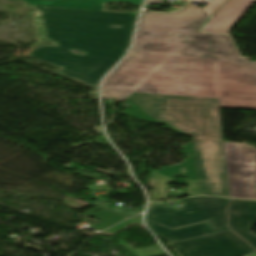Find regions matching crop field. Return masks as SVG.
I'll return each mask as SVG.
<instances>
[{"mask_svg":"<svg viewBox=\"0 0 256 256\" xmlns=\"http://www.w3.org/2000/svg\"><path fill=\"white\" fill-rule=\"evenodd\" d=\"M132 223H140V224H142L140 219L133 218V219H131L129 221H125V222H123V223H121V224H119V225H117V226H115V227H113V228L103 232V234L113 235V234H115V233L125 229L126 227H128Z\"/></svg>","mask_w":256,"mask_h":256,"instance_id":"22f410ed","label":"crop field"},{"mask_svg":"<svg viewBox=\"0 0 256 256\" xmlns=\"http://www.w3.org/2000/svg\"><path fill=\"white\" fill-rule=\"evenodd\" d=\"M117 242L121 244L125 249L130 251L132 254H134L135 256H155V255L164 253L159 246L148 247L140 250H134L130 245H128L123 240H117Z\"/></svg>","mask_w":256,"mask_h":256,"instance_id":"d1516ede","label":"crop field"},{"mask_svg":"<svg viewBox=\"0 0 256 256\" xmlns=\"http://www.w3.org/2000/svg\"><path fill=\"white\" fill-rule=\"evenodd\" d=\"M171 245L182 256H244L255 251L231 231Z\"/></svg>","mask_w":256,"mask_h":256,"instance_id":"e52e79f7","label":"crop field"},{"mask_svg":"<svg viewBox=\"0 0 256 256\" xmlns=\"http://www.w3.org/2000/svg\"><path fill=\"white\" fill-rule=\"evenodd\" d=\"M137 105L123 114L165 124L205 141H223L218 99L132 93Z\"/></svg>","mask_w":256,"mask_h":256,"instance_id":"34b2d1b8","label":"crop field"},{"mask_svg":"<svg viewBox=\"0 0 256 256\" xmlns=\"http://www.w3.org/2000/svg\"><path fill=\"white\" fill-rule=\"evenodd\" d=\"M147 223L153 229V231L158 235V237L164 239L168 243L214 233L210 222L191 226V227L181 228L177 230H171L169 228L158 225L151 221H147Z\"/></svg>","mask_w":256,"mask_h":256,"instance_id":"3316defc","label":"crop field"},{"mask_svg":"<svg viewBox=\"0 0 256 256\" xmlns=\"http://www.w3.org/2000/svg\"><path fill=\"white\" fill-rule=\"evenodd\" d=\"M255 1L256 0H228L216 13L213 21L210 22L203 31L230 34L229 31Z\"/></svg>","mask_w":256,"mask_h":256,"instance_id":"5a996713","label":"crop field"},{"mask_svg":"<svg viewBox=\"0 0 256 256\" xmlns=\"http://www.w3.org/2000/svg\"><path fill=\"white\" fill-rule=\"evenodd\" d=\"M231 197L256 199V148L225 142Z\"/></svg>","mask_w":256,"mask_h":256,"instance_id":"dd49c442","label":"crop field"},{"mask_svg":"<svg viewBox=\"0 0 256 256\" xmlns=\"http://www.w3.org/2000/svg\"><path fill=\"white\" fill-rule=\"evenodd\" d=\"M181 201L183 206L179 210L171 207H164V202L150 204L147 219L171 228H178L211 220L216 232L229 230L226 226L225 215L229 199L218 197H195ZM187 211H191V213H188Z\"/></svg>","mask_w":256,"mask_h":256,"instance_id":"f4fd0767","label":"crop field"},{"mask_svg":"<svg viewBox=\"0 0 256 256\" xmlns=\"http://www.w3.org/2000/svg\"><path fill=\"white\" fill-rule=\"evenodd\" d=\"M225 0H213L212 3L207 7L209 13L213 16L219 7L224 3Z\"/></svg>","mask_w":256,"mask_h":256,"instance_id":"cbeb9de0","label":"crop field"},{"mask_svg":"<svg viewBox=\"0 0 256 256\" xmlns=\"http://www.w3.org/2000/svg\"><path fill=\"white\" fill-rule=\"evenodd\" d=\"M249 256H256V252H255V253H253V254H251V255H249Z\"/></svg>","mask_w":256,"mask_h":256,"instance_id":"d9b57169","label":"crop field"},{"mask_svg":"<svg viewBox=\"0 0 256 256\" xmlns=\"http://www.w3.org/2000/svg\"><path fill=\"white\" fill-rule=\"evenodd\" d=\"M25 1L41 11V16L34 17L41 40L57 44L38 46L29 56L60 66L59 74L98 89L102 77L128 50L138 15L104 11L102 4L119 1L140 6L143 0ZM72 49L85 55H76Z\"/></svg>","mask_w":256,"mask_h":256,"instance_id":"ac0d7876","label":"crop field"},{"mask_svg":"<svg viewBox=\"0 0 256 256\" xmlns=\"http://www.w3.org/2000/svg\"><path fill=\"white\" fill-rule=\"evenodd\" d=\"M184 148L188 158L182 164L155 172L172 179L183 175L198 180L199 195L229 197L223 142L193 140Z\"/></svg>","mask_w":256,"mask_h":256,"instance_id":"412701ff","label":"crop field"},{"mask_svg":"<svg viewBox=\"0 0 256 256\" xmlns=\"http://www.w3.org/2000/svg\"><path fill=\"white\" fill-rule=\"evenodd\" d=\"M163 3V0H148L145 7H149L151 4Z\"/></svg>","mask_w":256,"mask_h":256,"instance_id":"5142ce71","label":"crop field"},{"mask_svg":"<svg viewBox=\"0 0 256 256\" xmlns=\"http://www.w3.org/2000/svg\"><path fill=\"white\" fill-rule=\"evenodd\" d=\"M231 200L227 210L229 227L256 249V235L251 234L256 225V201Z\"/></svg>","mask_w":256,"mask_h":256,"instance_id":"d8731c3e","label":"crop field"},{"mask_svg":"<svg viewBox=\"0 0 256 256\" xmlns=\"http://www.w3.org/2000/svg\"><path fill=\"white\" fill-rule=\"evenodd\" d=\"M204 9L143 13L130 55L107 77L106 99L132 92L220 98L256 109V62L240 58L227 35L197 33Z\"/></svg>","mask_w":256,"mask_h":256,"instance_id":"8a807250","label":"crop field"},{"mask_svg":"<svg viewBox=\"0 0 256 256\" xmlns=\"http://www.w3.org/2000/svg\"><path fill=\"white\" fill-rule=\"evenodd\" d=\"M85 214L89 215V216H93L95 218H98V219L104 221L103 223L93 227L98 230H104V229L130 217V216H126L123 214L105 210L99 206L85 212Z\"/></svg>","mask_w":256,"mask_h":256,"instance_id":"28ad6ade","label":"crop field"}]
</instances>
